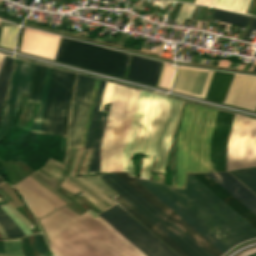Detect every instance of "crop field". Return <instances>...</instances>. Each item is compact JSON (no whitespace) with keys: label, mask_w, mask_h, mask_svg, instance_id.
I'll return each mask as SVG.
<instances>
[{"label":"crop field","mask_w":256,"mask_h":256,"mask_svg":"<svg viewBox=\"0 0 256 256\" xmlns=\"http://www.w3.org/2000/svg\"><path fill=\"white\" fill-rule=\"evenodd\" d=\"M34 238H35L36 246H37V249H38V252H39L40 256H47L45 254L44 250H43L39 235L38 234L35 235Z\"/></svg>","instance_id":"crop-field-49"},{"label":"crop field","mask_w":256,"mask_h":256,"mask_svg":"<svg viewBox=\"0 0 256 256\" xmlns=\"http://www.w3.org/2000/svg\"><path fill=\"white\" fill-rule=\"evenodd\" d=\"M130 186H132L137 192H139L144 198H146L151 204H153L158 210L166 215L171 221H173L178 227H180L185 233H187L192 239L200 244L205 250H207L213 256H221L223 253L213 246L208 240L194 230L189 224L181 219L176 213L168 208L163 202L149 192L144 186H142L134 178L128 176L126 172L116 173Z\"/></svg>","instance_id":"crop-field-13"},{"label":"crop field","mask_w":256,"mask_h":256,"mask_svg":"<svg viewBox=\"0 0 256 256\" xmlns=\"http://www.w3.org/2000/svg\"><path fill=\"white\" fill-rule=\"evenodd\" d=\"M13 213H15L29 228L33 223L29 222L20 212L14 209L11 205L5 204Z\"/></svg>","instance_id":"crop-field-46"},{"label":"crop field","mask_w":256,"mask_h":256,"mask_svg":"<svg viewBox=\"0 0 256 256\" xmlns=\"http://www.w3.org/2000/svg\"><path fill=\"white\" fill-rule=\"evenodd\" d=\"M92 214L97 220H99L104 226H106L110 231H112L117 237H119L124 243H126L131 249H133L140 256H145L141 251H139L134 245H132L128 240H126L121 234H119L115 229H113L108 223H106L102 218H100L93 211H88Z\"/></svg>","instance_id":"crop-field-36"},{"label":"crop field","mask_w":256,"mask_h":256,"mask_svg":"<svg viewBox=\"0 0 256 256\" xmlns=\"http://www.w3.org/2000/svg\"><path fill=\"white\" fill-rule=\"evenodd\" d=\"M11 66H12V58L6 56L0 70V112H1V106L3 103L4 97L6 95L7 82H8Z\"/></svg>","instance_id":"crop-field-31"},{"label":"crop field","mask_w":256,"mask_h":256,"mask_svg":"<svg viewBox=\"0 0 256 256\" xmlns=\"http://www.w3.org/2000/svg\"><path fill=\"white\" fill-rule=\"evenodd\" d=\"M128 55L61 36L55 60L123 77Z\"/></svg>","instance_id":"crop-field-6"},{"label":"crop field","mask_w":256,"mask_h":256,"mask_svg":"<svg viewBox=\"0 0 256 256\" xmlns=\"http://www.w3.org/2000/svg\"><path fill=\"white\" fill-rule=\"evenodd\" d=\"M4 57H5V56L0 55V67H1V64H2V62H3Z\"/></svg>","instance_id":"crop-field-60"},{"label":"crop field","mask_w":256,"mask_h":256,"mask_svg":"<svg viewBox=\"0 0 256 256\" xmlns=\"http://www.w3.org/2000/svg\"><path fill=\"white\" fill-rule=\"evenodd\" d=\"M211 0H195L196 3L206 4L209 5Z\"/></svg>","instance_id":"crop-field-56"},{"label":"crop field","mask_w":256,"mask_h":256,"mask_svg":"<svg viewBox=\"0 0 256 256\" xmlns=\"http://www.w3.org/2000/svg\"><path fill=\"white\" fill-rule=\"evenodd\" d=\"M161 63L133 55L127 78L155 85Z\"/></svg>","instance_id":"crop-field-21"},{"label":"crop field","mask_w":256,"mask_h":256,"mask_svg":"<svg viewBox=\"0 0 256 256\" xmlns=\"http://www.w3.org/2000/svg\"><path fill=\"white\" fill-rule=\"evenodd\" d=\"M0 188L3 189L6 194L14 200L17 206L22 205V202L19 200L17 197L16 193L14 190H12L10 187H8L5 183L0 184ZM14 208L17 207L15 204H13L11 201H8Z\"/></svg>","instance_id":"crop-field-41"},{"label":"crop field","mask_w":256,"mask_h":256,"mask_svg":"<svg viewBox=\"0 0 256 256\" xmlns=\"http://www.w3.org/2000/svg\"><path fill=\"white\" fill-rule=\"evenodd\" d=\"M90 151L91 150H87V153L85 155L84 161L82 163L81 169H80L78 174H86L87 167H88V162H89Z\"/></svg>","instance_id":"crop-field-47"},{"label":"crop field","mask_w":256,"mask_h":256,"mask_svg":"<svg viewBox=\"0 0 256 256\" xmlns=\"http://www.w3.org/2000/svg\"><path fill=\"white\" fill-rule=\"evenodd\" d=\"M99 82H100V80L96 79L92 97H91V101H90V105H89V109H88V113H87V117H86V121H85V125H84V129H83V133H82V137H81V141H80V145H79V147H81V148H83V146H84V142H85V138H86V134H87V130H88V126H89V122H90V118H91V114H92V110H93V106H94V102H95V98H96V94H97V90H98V86H99Z\"/></svg>","instance_id":"crop-field-34"},{"label":"crop field","mask_w":256,"mask_h":256,"mask_svg":"<svg viewBox=\"0 0 256 256\" xmlns=\"http://www.w3.org/2000/svg\"><path fill=\"white\" fill-rule=\"evenodd\" d=\"M198 8H199V6H197V8H196V10H195V12H194V14H193V16H192V19H194V17H195V15H196V12H197ZM196 16H197V15H196ZM195 18H196V17H195Z\"/></svg>","instance_id":"crop-field-61"},{"label":"crop field","mask_w":256,"mask_h":256,"mask_svg":"<svg viewBox=\"0 0 256 256\" xmlns=\"http://www.w3.org/2000/svg\"><path fill=\"white\" fill-rule=\"evenodd\" d=\"M75 179V178H74ZM74 179H72V178H69V180H71L72 182H74V183H76V184H78L79 186H81L83 189H85L87 192H89L91 195H93L94 197H96L98 200H100L101 202H103L104 204H106L108 207L109 206H111L110 204H108V203H106L105 201H103L102 199L104 198L105 200H107L109 203H111L112 205H114V204H116L115 202H113L112 200H110L107 196H105L102 192H100L98 189H96L94 186H92L89 182H87L85 179H83L82 177H79V178H77L79 181H81L82 183H84L85 185H87V186H89L91 189H93L96 193H98L101 197H103L102 199L101 198H99L97 195H95L96 193L93 191V190H91L89 187H87L88 189H90L91 191H93V192H91L90 190H88L86 187H84L83 185H81L80 183H78L77 181H75ZM68 179L66 180V181H68L69 183H71V184H73L71 181H69ZM64 182L63 184H62V186L61 187H63V188H65V189H67V190H69V191H71V192H73V193H77V192H80L81 190L83 191V192H85L86 194H88L89 196H91L89 193H87L86 191H84L82 188H80L79 186H77V185H75V184H73L74 186H76L77 188H79V189H81V190H79V189H77L76 187H74V186H72L71 184H69L68 182ZM93 196H91L93 199H95ZM97 199H95L97 202H99L100 204H102L104 207H106V208H108L106 205H104L103 203H101L100 201H98Z\"/></svg>","instance_id":"crop-field-26"},{"label":"crop field","mask_w":256,"mask_h":256,"mask_svg":"<svg viewBox=\"0 0 256 256\" xmlns=\"http://www.w3.org/2000/svg\"><path fill=\"white\" fill-rule=\"evenodd\" d=\"M139 90L116 85L100 147L101 172L122 171V150Z\"/></svg>","instance_id":"crop-field-5"},{"label":"crop field","mask_w":256,"mask_h":256,"mask_svg":"<svg viewBox=\"0 0 256 256\" xmlns=\"http://www.w3.org/2000/svg\"><path fill=\"white\" fill-rule=\"evenodd\" d=\"M98 178L152 221L191 256H211L115 173L100 175Z\"/></svg>","instance_id":"crop-field-7"},{"label":"crop field","mask_w":256,"mask_h":256,"mask_svg":"<svg viewBox=\"0 0 256 256\" xmlns=\"http://www.w3.org/2000/svg\"><path fill=\"white\" fill-rule=\"evenodd\" d=\"M31 177H33L35 180H37L39 183H41L43 186H45L46 188H48L49 190H51L52 192H54L56 195H58L61 199H63L66 202H71L68 199H66L65 197H63L62 195H60L58 192H56L55 190H53L51 187H49L48 185H46L44 182H42L39 178H37L34 174L30 175Z\"/></svg>","instance_id":"crop-field-48"},{"label":"crop field","mask_w":256,"mask_h":256,"mask_svg":"<svg viewBox=\"0 0 256 256\" xmlns=\"http://www.w3.org/2000/svg\"><path fill=\"white\" fill-rule=\"evenodd\" d=\"M0 230H1L2 234L4 235V237H6L4 231H3V229H2L1 227H0ZM1 232H0V235H1V237H3V235L1 234Z\"/></svg>","instance_id":"crop-field-62"},{"label":"crop field","mask_w":256,"mask_h":256,"mask_svg":"<svg viewBox=\"0 0 256 256\" xmlns=\"http://www.w3.org/2000/svg\"><path fill=\"white\" fill-rule=\"evenodd\" d=\"M181 102L140 92L123 150V171H128L134 177L131 156L136 152L149 155V158H143L140 177L148 179L154 154L156 159L152 171L164 173V163Z\"/></svg>","instance_id":"crop-field-1"},{"label":"crop field","mask_w":256,"mask_h":256,"mask_svg":"<svg viewBox=\"0 0 256 256\" xmlns=\"http://www.w3.org/2000/svg\"><path fill=\"white\" fill-rule=\"evenodd\" d=\"M0 207L13 219V221L20 227L26 236L33 234L28 229V227L21 220H19L7 207L4 205H1Z\"/></svg>","instance_id":"crop-field-40"},{"label":"crop field","mask_w":256,"mask_h":256,"mask_svg":"<svg viewBox=\"0 0 256 256\" xmlns=\"http://www.w3.org/2000/svg\"><path fill=\"white\" fill-rule=\"evenodd\" d=\"M256 166V120L234 116L226 170Z\"/></svg>","instance_id":"crop-field-10"},{"label":"crop field","mask_w":256,"mask_h":256,"mask_svg":"<svg viewBox=\"0 0 256 256\" xmlns=\"http://www.w3.org/2000/svg\"><path fill=\"white\" fill-rule=\"evenodd\" d=\"M152 183L229 249L256 238V229L190 173L185 189Z\"/></svg>","instance_id":"crop-field-3"},{"label":"crop field","mask_w":256,"mask_h":256,"mask_svg":"<svg viewBox=\"0 0 256 256\" xmlns=\"http://www.w3.org/2000/svg\"><path fill=\"white\" fill-rule=\"evenodd\" d=\"M6 256H23L20 240H2Z\"/></svg>","instance_id":"crop-field-35"},{"label":"crop field","mask_w":256,"mask_h":256,"mask_svg":"<svg viewBox=\"0 0 256 256\" xmlns=\"http://www.w3.org/2000/svg\"><path fill=\"white\" fill-rule=\"evenodd\" d=\"M216 112L187 102L178 137L176 187H184L186 171H208Z\"/></svg>","instance_id":"crop-field-4"},{"label":"crop field","mask_w":256,"mask_h":256,"mask_svg":"<svg viewBox=\"0 0 256 256\" xmlns=\"http://www.w3.org/2000/svg\"><path fill=\"white\" fill-rule=\"evenodd\" d=\"M212 18L223 20V22H226V23H233V24H238L243 26L246 25L249 19L248 16L226 12L218 9L215 10ZM226 23H222V24L226 25L224 30L228 31L230 24H226Z\"/></svg>","instance_id":"crop-field-29"},{"label":"crop field","mask_w":256,"mask_h":256,"mask_svg":"<svg viewBox=\"0 0 256 256\" xmlns=\"http://www.w3.org/2000/svg\"><path fill=\"white\" fill-rule=\"evenodd\" d=\"M114 86L115 84L107 82L100 110L103 104L111 102Z\"/></svg>","instance_id":"crop-field-44"},{"label":"crop field","mask_w":256,"mask_h":256,"mask_svg":"<svg viewBox=\"0 0 256 256\" xmlns=\"http://www.w3.org/2000/svg\"><path fill=\"white\" fill-rule=\"evenodd\" d=\"M4 256H5V254H3ZM0 256H2L1 254H0Z\"/></svg>","instance_id":"crop-field-68"},{"label":"crop field","mask_w":256,"mask_h":256,"mask_svg":"<svg viewBox=\"0 0 256 256\" xmlns=\"http://www.w3.org/2000/svg\"><path fill=\"white\" fill-rule=\"evenodd\" d=\"M33 66L34 64L19 59L12 74L0 127V140L7 134L15 120L21 92L29 93Z\"/></svg>","instance_id":"crop-field-11"},{"label":"crop field","mask_w":256,"mask_h":256,"mask_svg":"<svg viewBox=\"0 0 256 256\" xmlns=\"http://www.w3.org/2000/svg\"><path fill=\"white\" fill-rule=\"evenodd\" d=\"M51 70H52L51 67L46 68V74H45L44 85H43L38 114H37L29 131L37 132V133H40V131H41V125H42V120H43V114H44V109H45V103H46V98H47Z\"/></svg>","instance_id":"crop-field-27"},{"label":"crop field","mask_w":256,"mask_h":256,"mask_svg":"<svg viewBox=\"0 0 256 256\" xmlns=\"http://www.w3.org/2000/svg\"><path fill=\"white\" fill-rule=\"evenodd\" d=\"M147 256H177L117 205L98 214Z\"/></svg>","instance_id":"crop-field-9"},{"label":"crop field","mask_w":256,"mask_h":256,"mask_svg":"<svg viewBox=\"0 0 256 256\" xmlns=\"http://www.w3.org/2000/svg\"><path fill=\"white\" fill-rule=\"evenodd\" d=\"M45 68L46 66L35 64L28 101L39 103L45 74Z\"/></svg>","instance_id":"crop-field-28"},{"label":"crop field","mask_w":256,"mask_h":256,"mask_svg":"<svg viewBox=\"0 0 256 256\" xmlns=\"http://www.w3.org/2000/svg\"><path fill=\"white\" fill-rule=\"evenodd\" d=\"M249 13L256 15V0L254 1Z\"/></svg>","instance_id":"crop-field-54"},{"label":"crop field","mask_w":256,"mask_h":256,"mask_svg":"<svg viewBox=\"0 0 256 256\" xmlns=\"http://www.w3.org/2000/svg\"><path fill=\"white\" fill-rule=\"evenodd\" d=\"M115 200L122 205L127 211H129L135 218H137L142 224L152 230L157 236H159L164 242H166L170 247H172L181 256H190L182 248H180L176 243H174L170 238H168L164 233H162L158 228H156L149 220H147L143 215H141L137 210H135L131 205H129L120 196L115 198Z\"/></svg>","instance_id":"crop-field-25"},{"label":"crop field","mask_w":256,"mask_h":256,"mask_svg":"<svg viewBox=\"0 0 256 256\" xmlns=\"http://www.w3.org/2000/svg\"><path fill=\"white\" fill-rule=\"evenodd\" d=\"M17 31L18 27L10 26L5 47L13 49Z\"/></svg>","instance_id":"crop-field-45"},{"label":"crop field","mask_w":256,"mask_h":256,"mask_svg":"<svg viewBox=\"0 0 256 256\" xmlns=\"http://www.w3.org/2000/svg\"><path fill=\"white\" fill-rule=\"evenodd\" d=\"M208 61H209V60H206V59L203 58V59H201L200 62H201V63H208Z\"/></svg>","instance_id":"crop-field-63"},{"label":"crop field","mask_w":256,"mask_h":256,"mask_svg":"<svg viewBox=\"0 0 256 256\" xmlns=\"http://www.w3.org/2000/svg\"><path fill=\"white\" fill-rule=\"evenodd\" d=\"M36 173H37V172H36ZM39 173H40V172H39ZM34 174H35V173H34ZM40 174L43 175V176H44L45 178H47L48 180H50L51 182H53V183H54L55 185H57L58 187L61 185V184H59L58 182H56L55 180H53L52 178H50V177H48V176H46V175H44V174H42V173H40ZM40 174H39V175H40ZM35 175H36V174H35ZM36 176H38V175H36ZM38 177H39V176H38ZM40 177H41V176H40ZM40 177H39V178H40ZM41 178H42V177H41ZM41 178H40V179H41ZM42 179H44V178H42ZM42 179H41V180H42ZM47 179H46V180H47ZM44 180H45V179H44ZM46 180H45V181H46ZM45 181H44V182H45ZM50 181H49V182H50ZM51 182H50V183H51ZM45 183H47V182H45ZM47 184H48V183H47ZM51 184H52V183H51ZM54 184H52V185H54ZM48 185L51 186L50 184H48ZM55 185H54V186H55ZM57 186H56V187H57ZM51 187H52V186H51ZM58 187H57V188H58ZM52 188H53V187H52ZM53 189H55V188H53ZM55 190H56V189H55Z\"/></svg>","instance_id":"crop-field-51"},{"label":"crop field","mask_w":256,"mask_h":256,"mask_svg":"<svg viewBox=\"0 0 256 256\" xmlns=\"http://www.w3.org/2000/svg\"><path fill=\"white\" fill-rule=\"evenodd\" d=\"M256 111V110H255Z\"/></svg>","instance_id":"crop-field-71"},{"label":"crop field","mask_w":256,"mask_h":256,"mask_svg":"<svg viewBox=\"0 0 256 256\" xmlns=\"http://www.w3.org/2000/svg\"><path fill=\"white\" fill-rule=\"evenodd\" d=\"M234 114L217 112L211 140L209 171L225 170L227 141Z\"/></svg>","instance_id":"crop-field-14"},{"label":"crop field","mask_w":256,"mask_h":256,"mask_svg":"<svg viewBox=\"0 0 256 256\" xmlns=\"http://www.w3.org/2000/svg\"><path fill=\"white\" fill-rule=\"evenodd\" d=\"M195 8L194 5L183 4L175 20L180 23L185 18H191Z\"/></svg>","instance_id":"crop-field-37"},{"label":"crop field","mask_w":256,"mask_h":256,"mask_svg":"<svg viewBox=\"0 0 256 256\" xmlns=\"http://www.w3.org/2000/svg\"><path fill=\"white\" fill-rule=\"evenodd\" d=\"M41 170H44L48 175L52 176L53 178H55L56 180H58L61 183L65 179V177H63L62 170H60L56 167H53L49 164H46Z\"/></svg>","instance_id":"crop-field-38"},{"label":"crop field","mask_w":256,"mask_h":256,"mask_svg":"<svg viewBox=\"0 0 256 256\" xmlns=\"http://www.w3.org/2000/svg\"><path fill=\"white\" fill-rule=\"evenodd\" d=\"M233 75L215 71L205 98L222 103Z\"/></svg>","instance_id":"crop-field-24"},{"label":"crop field","mask_w":256,"mask_h":256,"mask_svg":"<svg viewBox=\"0 0 256 256\" xmlns=\"http://www.w3.org/2000/svg\"><path fill=\"white\" fill-rule=\"evenodd\" d=\"M8 28H9V26H3V28H2L1 39H0V46H2V47H4V45H5Z\"/></svg>","instance_id":"crop-field-50"},{"label":"crop field","mask_w":256,"mask_h":256,"mask_svg":"<svg viewBox=\"0 0 256 256\" xmlns=\"http://www.w3.org/2000/svg\"><path fill=\"white\" fill-rule=\"evenodd\" d=\"M1 28H2V26H0V33H1Z\"/></svg>","instance_id":"crop-field-67"},{"label":"crop field","mask_w":256,"mask_h":256,"mask_svg":"<svg viewBox=\"0 0 256 256\" xmlns=\"http://www.w3.org/2000/svg\"><path fill=\"white\" fill-rule=\"evenodd\" d=\"M0 225L6 232L8 237L24 236L19 227L11 220V218L0 208Z\"/></svg>","instance_id":"crop-field-32"},{"label":"crop field","mask_w":256,"mask_h":256,"mask_svg":"<svg viewBox=\"0 0 256 256\" xmlns=\"http://www.w3.org/2000/svg\"><path fill=\"white\" fill-rule=\"evenodd\" d=\"M32 1H33V0H27L26 3H25V5L29 6Z\"/></svg>","instance_id":"crop-field-64"},{"label":"crop field","mask_w":256,"mask_h":256,"mask_svg":"<svg viewBox=\"0 0 256 256\" xmlns=\"http://www.w3.org/2000/svg\"><path fill=\"white\" fill-rule=\"evenodd\" d=\"M95 180H97L103 187H105L110 193H112L114 196L116 193H114L111 189H109L102 181H100L96 176H92ZM91 176L84 177L89 182L94 184L97 188H99L105 195H107L109 198H113L114 196L110 194L106 189H104L97 181H95Z\"/></svg>","instance_id":"crop-field-39"},{"label":"crop field","mask_w":256,"mask_h":256,"mask_svg":"<svg viewBox=\"0 0 256 256\" xmlns=\"http://www.w3.org/2000/svg\"><path fill=\"white\" fill-rule=\"evenodd\" d=\"M105 81L100 82L86 142L84 148H92V156L89 164L88 171L100 170L99 169V147L103 135V130L106 122L107 115L99 111L104 88Z\"/></svg>","instance_id":"crop-field-16"},{"label":"crop field","mask_w":256,"mask_h":256,"mask_svg":"<svg viewBox=\"0 0 256 256\" xmlns=\"http://www.w3.org/2000/svg\"><path fill=\"white\" fill-rule=\"evenodd\" d=\"M68 151H69V148H66L65 161H64L65 163H66V161H67ZM70 151H71V149H70ZM70 151H69V156H70ZM69 156H68V161H67V163L69 162Z\"/></svg>","instance_id":"crop-field-58"},{"label":"crop field","mask_w":256,"mask_h":256,"mask_svg":"<svg viewBox=\"0 0 256 256\" xmlns=\"http://www.w3.org/2000/svg\"><path fill=\"white\" fill-rule=\"evenodd\" d=\"M136 180H138L149 191H151L155 196H157L161 201H163L168 207H170L174 212H176L181 218H183L187 223H189L194 229H196L200 234H202L206 239H208L219 250H221L223 253L228 250L213 236H211L206 230H204L199 224H197L192 218H190L186 213H184L179 207H177L172 201H170L165 195H163L159 190H157L152 184L145 180Z\"/></svg>","instance_id":"crop-field-23"},{"label":"crop field","mask_w":256,"mask_h":256,"mask_svg":"<svg viewBox=\"0 0 256 256\" xmlns=\"http://www.w3.org/2000/svg\"><path fill=\"white\" fill-rule=\"evenodd\" d=\"M39 223L57 256H138L87 212L64 206Z\"/></svg>","instance_id":"crop-field-2"},{"label":"crop field","mask_w":256,"mask_h":256,"mask_svg":"<svg viewBox=\"0 0 256 256\" xmlns=\"http://www.w3.org/2000/svg\"><path fill=\"white\" fill-rule=\"evenodd\" d=\"M59 38L58 35L25 28L20 51L54 60Z\"/></svg>","instance_id":"crop-field-19"},{"label":"crop field","mask_w":256,"mask_h":256,"mask_svg":"<svg viewBox=\"0 0 256 256\" xmlns=\"http://www.w3.org/2000/svg\"><path fill=\"white\" fill-rule=\"evenodd\" d=\"M173 72H174V68L171 65L167 64L161 87L167 88V89L170 88Z\"/></svg>","instance_id":"crop-field-42"},{"label":"crop field","mask_w":256,"mask_h":256,"mask_svg":"<svg viewBox=\"0 0 256 256\" xmlns=\"http://www.w3.org/2000/svg\"><path fill=\"white\" fill-rule=\"evenodd\" d=\"M223 103L253 111L256 106V77L235 74Z\"/></svg>","instance_id":"crop-field-17"},{"label":"crop field","mask_w":256,"mask_h":256,"mask_svg":"<svg viewBox=\"0 0 256 256\" xmlns=\"http://www.w3.org/2000/svg\"><path fill=\"white\" fill-rule=\"evenodd\" d=\"M82 194H84V193H82ZM82 194H81V195H82ZM84 195H86V194H84ZM84 195H82V196H84ZM86 196H87V195H86ZM84 197H85V196H84ZM87 197H88V196H87ZM87 197H85V198H87ZM89 198H90V197H89ZM89 198H87L89 201L93 200V199H91V198H90V199H91V200H90ZM93 201H94V200H93ZM93 201H91V202H92V203L95 202V203H96L98 206H100L102 209H105V208L102 207L100 204H98L96 201H94V202H93ZM95 203H94V204H95ZM96 204H95V206H96L97 208H99L101 211H103V210H102L100 207H98Z\"/></svg>","instance_id":"crop-field-55"},{"label":"crop field","mask_w":256,"mask_h":256,"mask_svg":"<svg viewBox=\"0 0 256 256\" xmlns=\"http://www.w3.org/2000/svg\"><path fill=\"white\" fill-rule=\"evenodd\" d=\"M200 181L208 186L213 192H215L220 198L228 203L233 209H235L240 215H242L247 221L256 227V216L242 205L237 199H235L230 193H228L223 187L215 182L206 173L194 174Z\"/></svg>","instance_id":"crop-field-22"},{"label":"crop field","mask_w":256,"mask_h":256,"mask_svg":"<svg viewBox=\"0 0 256 256\" xmlns=\"http://www.w3.org/2000/svg\"><path fill=\"white\" fill-rule=\"evenodd\" d=\"M0 196H2L6 201L10 200L1 190H0Z\"/></svg>","instance_id":"crop-field-59"},{"label":"crop field","mask_w":256,"mask_h":256,"mask_svg":"<svg viewBox=\"0 0 256 256\" xmlns=\"http://www.w3.org/2000/svg\"><path fill=\"white\" fill-rule=\"evenodd\" d=\"M14 1H16V0H14Z\"/></svg>","instance_id":"crop-field-69"},{"label":"crop field","mask_w":256,"mask_h":256,"mask_svg":"<svg viewBox=\"0 0 256 256\" xmlns=\"http://www.w3.org/2000/svg\"><path fill=\"white\" fill-rule=\"evenodd\" d=\"M29 180L32 184H34L36 187H38L40 190H42L44 193L48 194L53 200L57 201L61 205L66 204L61 199H59L54 193L40 185L37 181H35L30 176L26 178ZM23 180L21 182L25 183L27 186H29L32 190L39 193L41 196H43L46 200H48L50 203H52L57 208L60 207L57 202L53 201L48 195L44 194L42 191H40L38 188L33 186L30 182L27 180ZM18 183L14 185V187L20 192V194L23 196V198L26 200V202L29 204L32 212L34 213L36 219L48 214L49 212L55 210L54 206L51 205L49 202H47L44 198H42L40 195L36 194L34 191H32L29 187H27L23 183ZM56 208V209H57Z\"/></svg>","instance_id":"crop-field-15"},{"label":"crop field","mask_w":256,"mask_h":256,"mask_svg":"<svg viewBox=\"0 0 256 256\" xmlns=\"http://www.w3.org/2000/svg\"><path fill=\"white\" fill-rule=\"evenodd\" d=\"M75 151H76V149H72L70 163H69L68 169H67L66 174H65L66 177H68V175H69Z\"/></svg>","instance_id":"crop-field-53"},{"label":"crop field","mask_w":256,"mask_h":256,"mask_svg":"<svg viewBox=\"0 0 256 256\" xmlns=\"http://www.w3.org/2000/svg\"><path fill=\"white\" fill-rule=\"evenodd\" d=\"M256 193V175L249 169L231 172ZM245 185V186H246Z\"/></svg>","instance_id":"crop-field-33"},{"label":"crop field","mask_w":256,"mask_h":256,"mask_svg":"<svg viewBox=\"0 0 256 256\" xmlns=\"http://www.w3.org/2000/svg\"><path fill=\"white\" fill-rule=\"evenodd\" d=\"M207 71L208 70L205 69L177 66L171 90L199 97ZM210 76L211 73L209 72L205 82L203 94L201 93L203 96L206 93ZM203 96L200 97L204 98Z\"/></svg>","instance_id":"crop-field-18"},{"label":"crop field","mask_w":256,"mask_h":256,"mask_svg":"<svg viewBox=\"0 0 256 256\" xmlns=\"http://www.w3.org/2000/svg\"><path fill=\"white\" fill-rule=\"evenodd\" d=\"M84 153H85V149H78L77 150L76 157H75V160H74V163H73V166H72V169H71V172H70L69 176H76L78 166H79V164L82 160V157H83Z\"/></svg>","instance_id":"crop-field-43"},{"label":"crop field","mask_w":256,"mask_h":256,"mask_svg":"<svg viewBox=\"0 0 256 256\" xmlns=\"http://www.w3.org/2000/svg\"><path fill=\"white\" fill-rule=\"evenodd\" d=\"M256 215V196L227 172L207 173Z\"/></svg>","instance_id":"crop-field-20"},{"label":"crop field","mask_w":256,"mask_h":256,"mask_svg":"<svg viewBox=\"0 0 256 256\" xmlns=\"http://www.w3.org/2000/svg\"><path fill=\"white\" fill-rule=\"evenodd\" d=\"M94 81V78L77 74L67 133V147L79 145Z\"/></svg>","instance_id":"crop-field-12"},{"label":"crop field","mask_w":256,"mask_h":256,"mask_svg":"<svg viewBox=\"0 0 256 256\" xmlns=\"http://www.w3.org/2000/svg\"><path fill=\"white\" fill-rule=\"evenodd\" d=\"M183 1H190V2H194V0H183Z\"/></svg>","instance_id":"crop-field-66"},{"label":"crop field","mask_w":256,"mask_h":256,"mask_svg":"<svg viewBox=\"0 0 256 256\" xmlns=\"http://www.w3.org/2000/svg\"><path fill=\"white\" fill-rule=\"evenodd\" d=\"M48 163H50V164H52V165H55V166H57V167H59V168H62V169H65V167H66L65 164L60 163V162H58V161H56V160H53V159H51V158L48 160Z\"/></svg>","instance_id":"crop-field-52"},{"label":"crop field","mask_w":256,"mask_h":256,"mask_svg":"<svg viewBox=\"0 0 256 256\" xmlns=\"http://www.w3.org/2000/svg\"><path fill=\"white\" fill-rule=\"evenodd\" d=\"M250 170L253 171L256 174V168H252Z\"/></svg>","instance_id":"crop-field-65"},{"label":"crop field","mask_w":256,"mask_h":256,"mask_svg":"<svg viewBox=\"0 0 256 256\" xmlns=\"http://www.w3.org/2000/svg\"><path fill=\"white\" fill-rule=\"evenodd\" d=\"M251 0H212L210 5L245 13Z\"/></svg>","instance_id":"crop-field-30"},{"label":"crop field","mask_w":256,"mask_h":256,"mask_svg":"<svg viewBox=\"0 0 256 256\" xmlns=\"http://www.w3.org/2000/svg\"><path fill=\"white\" fill-rule=\"evenodd\" d=\"M165 65H166V63L164 62V64H163V68H162V72H161V76H160V80H159V84H158V86H159V87H160V85H161V81H162V77H163V73H164Z\"/></svg>","instance_id":"crop-field-57"},{"label":"crop field","mask_w":256,"mask_h":256,"mask_svg":"<svg viewBox=\"0 0 256 256\" xmlns=\"http://www.w3.org/2000/svg\"><path fill=\"white\" fill-rule=\"evenodd\" d=\"M73 75L53 68L41 133L63 135Z\"/></svg>","instance_id":"crop-field-8"},{"label":"crop field","mask_w":256,"mask_h":256,"mask_svg":"<svg viewBox=\"0 0 256 256\" xmlns=\"http://www.w3.org/2000/svg\"><path fill=\"white\" fill-rule=\"evenodd\" d=\"M0 202H2V201H0Z\"/></svg>","instance_id":"crop-field-70"}]
</instances>
